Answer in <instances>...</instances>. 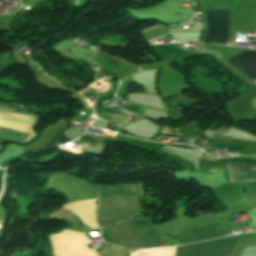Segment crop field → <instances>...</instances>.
<instances>
[{
    "label": "crop field",
    "mask_w": 256,
    "mask_h": 256,
    "mask_svg": "<svg viewBox=\"0 0 256 256\" xmlns=\"http://www.w3.org/2000/svg\"><path fill=\"white\" fill-rule=\"evenodd\" d=\"M142 194L140 183L120 186H100L99 196H136ZM141 209L134 197H100L97 222L99 226L123 221Z\"/></svg>",
    "instance_id": "8a807250"
},
{
    "label": "crop field",
    "mask_w": 256,
    "mask_h": 256,
    "mask_svg": "<svg viewBox=\"0 0 256 256\" xmlns=\"http://www.w3.org/2000/svg\"><path fill=\"white\" fill-rule=\"evenodd\" d=\"M131 221L142 233V235L146 238V240L151 244L152 247L167 246V244L164 242V240L161 238L158 232L151 229L144 219H135ZM131 221H127L112 226L108 229H105V232L111 239L112 243L143 248L151 247L150 244L145 240V238L141 235V233L137 230V228L132 224ZM122 245L116 246L129 252H134L138 249H143Z\"/></svg>",
    "instance_id": "ac0d7876"
},
{
    "label": "crop field",
    "mask_w": 256,
    "mask_h": 256,
    "mask_svg": "<svg viewBox=\"0 0 256 256\" xmlns=\"http://www.w3.org/2000/svg\"><path fill=\"white\" fill-rule=\"evenodd\" d=\"M246 234L180 246L176 256H230L232 249Z\"/></svg>",
    "instance_id": "34b2d1b8"
},
{
    "label": "crop field",
    "mask_w": 256,
    "mask_h": 256,
    "mask_svg": "<svg viewBox=\"0 0 256 256\" xmlns=\"http://www.w3.org/2000/svg\"><path fill=\"white\" fill-rule=\"evenodd\" d=\"M54 256H97L84 246V234L63 230L49 235Z\"/></svg>",
    "instance_id": "412701ff"
},
{
    "label": "crop field",
    "mask_w": 256,
    "mask_h": 256,
    "mask_svg": "<svg viewBox=\"0 0 256 256\" xmlns=\"http://www.w3.org/2000/svg\"><path fill=\"white\" fill-rule=\"evenodd\" d=\"M208 31L204 41L225 44L228 36V10L206 11Z\"/></svg>",
    "instance_id": "f4fd0767"
},
{
    "label": "crop field",
    "mask_w": 256,
    "mask_h": 256,
    "mask_svg": "<svg viewBox=\"0 0 256 256\" xmlns=\"http://www.w3.org/2000/svg\"><path fill=\"white\" fill-rule=\"evenodd\" d=\"M176 234L178 238V245L224 236L219 223L178 232Z\"/></svg>",
    "instance_id": "dd49c442"
},
{
    "label": "crop field",
    "mask_w": 256,
    "mask_h": 256,
    "mask_svg": "<svg viewBox=\"0 0 256 256\" xmlns=\"http://www.w3.org/2000/svg\"><path fill=\"white\" fill-rule=\"evenodd\" d=\"M61 207L74 213L86 226L99 230L95 222L96 199L71 202Z\"/></svg>",
    "instance_id": "e52e79f7"
},
{
    "label": "crop field",
    "mask_w": 256,
    "mask_h": 256,
    "mask_svg": "<svg viewBox=\"0 0 256 256\" xmlns=\"http://www.w3.org/2000/svg\"><path fill=\"white\" fill-rule=\"evenodd\" d=\"M227 61L248 76L256 79V51L246 50Z\"/></svg>",
    "instance_id": "d8731c3e"
},
{
    "label": "crop field",
    "mask_w": 256,
    "mask_h": 256,
    "mask_svg": "<svg viewBox=\"0 0 256 256\" xmlns=\"http://www.w3.org/2000/svg\"><path fill=\"white\" fill-rule=\"evenodd\" d=\"M231 182H256V167L245 164H225Z\"/></svg>",
    "instance_id": "5a996713"
},
{
    "label": "crop field",
    "mask_w": 256,
    "mask_h": 256,
    "mask_svg": "<svg viewBox=\"0 0 256 256\" xmlns=\"http://www.w3.org/2000/svg\"><path fill=\"white\" fill-rule=\"evenodd\" d=\"M29 133L30 132H28V131H23V130L0 126V136L8 139L9 141H13V142L25 143ZM35 135L36 134L31 131V134H30L27 142L30 141L31 139H33L35 137Z\"/></svg>",
    "instance_id": "3316defc"
},
{
    "label": "crop field",
    "mask_w": 256,
    "mask_h": 256,
    "mask_svg": "<svg viewBox=\"0 0 256 256\" xmlns=\"http://www.w3.org/2000/svg\"><path fill=\"white\" fill-rule=\"evenodd\" d=\"M175 247L161 248V249H150V250H139L132 256H174Z\"/></svg>",
    "instance_id": "28ad6ade"
},
{
    "label": "crop field",
    "mask_w": 256,
    "mask_h": 256,
    "mask_svg": "<svg viewBox=\"0 0 256 256\" xmlns=\"http://www.w3.org/2000/svg\"><path fill=\"white\" fill-rule=\"evenodd\" d=\"M0 109H10V108H8L5 105H3L2 103H0Z\"/></svg>",
    "instance_id": "d1516ede"
}]
</instances>
